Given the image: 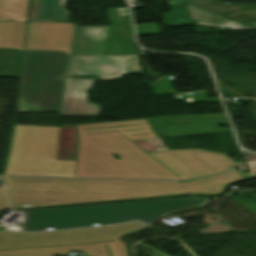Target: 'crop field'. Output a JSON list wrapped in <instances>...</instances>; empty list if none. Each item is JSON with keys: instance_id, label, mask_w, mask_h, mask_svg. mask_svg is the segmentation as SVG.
Listing matches in <instances>:
<instances>
[{"instance_id": "1", "label": "crop field", "mask_w": 256, "mask_h": 256, "mask_svg": "<svg viewBox=\"0 0 256 256\" xmlns=\"http://www.w3.org/2000/svg\"><path fill=\"white\" fill-rule=\"evenodd\" d=\"M243 179L231 172L190 183L13 177L5 178L4 182L13 207L23 208L24 204L35 207L179 194H218L229 182Z\"/></svg>"}, {"instance_id": "2", "label": "crop field", "mask_w": 256, "mask_h": 256, "mask_svg": "<svg viewBox=\"0 0 256 256\" xmlns=\"http://www.w3.org/2000/svg\"><path fill=\"white\" fill-rule=\"evenodd\" d=\"M209 198L184 197L135 202L71 206L41 210H27L20 226L22 231H44L119 223L131 220L149 225L171 212L202 208Z\"/></svg>"}, {"instance_id": "3", "label": "crop field", "mask_w": 256, "mask_h": 256, "mask_svg": "<svg viewBox=\"0 0 256 256\" xmlns=\"http://www.w3.org/2000/svg\"><path fill=\"white\" fill-rule=\"evenodd\" d=\"M76 177L181 180L119 132L79 136Z\"/></svg>"}, {"instance_id": "4", "label": "crop field", "mask_w": 256, "mask_h": 256, "mask_svg": "<svg viewBox=\"0 0 256 256\" xmlns=\"http://www.w3.org/2000/svg\"><path fill=\"white\" fill-rule=\"evenodd\" d=\"M68 54L24 51L16 112H58Z\"/></svg>"}, {"instance_id": "5", "label": "crop field", "mask_w": 256, "mask_h": 256, "mask_svg": "<svg viewBox=\"0 0 256 256\" xmlns=\"http://www.w3.org/2000/svg\"><path fill=\"white\" fill-rule=\"evenodd\" d=\"M145 228L139 222L101 227L78 228L49 233H0V250L115 241L129 232Z\"/></svg>"}, {"instance_id": "6", "label": "crop field", "mask_w": 256, "mask_h": 256, "mask_svg": "<svg viewBox=\"0 0 256 256\" xmlns=\"http://www.w3.org/2000/svg\"><path fill=\"white\" fill-rule=\"evenodd\" d=\"M190 124L194 127L188 128L187 125H173L165 127L150 128L146 119L108 122L100 124H81L77 125L79 135L119 131L130 140L157 138L154 133H164L167 137L227 132L231 129H221L218 121L228 119L225 113L204 114L187 116Z\"/></svg>"}, {"instance_id": "7", "label": "crop field", "mask_w": 256, "mask_h": 256, "mask_svg": "<svg viewBox=\"0 0 256 256\" xmlns=\"http://www.w3.org/2000/svg\"><path fill=\"white\" fill-rule=\"evenodd\" d=\"M148 154L183 180L228 171L237 164L225 154L198 149L155 151Z\"/></svg>"}, {"instance_id": "8", "label": "crop field", "mask_w": 256, "mask_h": 256, "mask_svg": "<svg viewBox=\"0 0 256 256\" xmlns=\"http://www.w3.org/2000/svg\"><path fill=\"white\" fill-rule=\"evenodd\" d=\"M59 129L15 125L8 158L57 159Z\"/></svg>"}, {"instance_id": "9", "label": "crop field", "mask_w": 256, "mask_h": 256, "mask_svg": "<svg viewBox=\"0 0 256 256\" xmlns=\"http://www.w3.org/2000/svg\"><path fill=\"white\" fill-rule=\"evenodd\" d=\"M74 68H71V67ZM141 73L137 56L88 57L71 56L67 75H100V80L121 78L120 75Z\"/></svg>"}, {"instance_id": "10", "label": "crop field", "mask_w": 256, "mask_h": 256, "mask_svg": "<svg viewBox=\"0 0 256 256\" xmlns=\"http://www.w3.org/2000/svg\"><path fill=\"white\" fill-rule=\"evenodd\" d=\"M75 25L28 23L25 49L70 51Z\"/></svg>"}, {"instance_id": "11", "label": "crop field", "mask_w": 256, "mask_h": 256, "mask_svg": "<svg viewBox=\"0 0 256 256\" xmlns=\"http://www.w3.org/2000/svg\"><path fill=\"white\" fill-rule=\"evenodd\" d=\"M76 161L8 159L3 175L75 177Z\"/></svg>"}, {"instance_id": "12", "label": "crop field", "mask_w": 256, "mask_h": 256, "mask_svg": "<svg viewBox=\"0 0 256 256\" xmlns=\"http://www.w3.org/2000/svg\"><path fill=\"white\" fill-rule=\"evenodd\" d=\"M104 244L107 245L111 256H128L124 243L120 241L0 251V256H52V253L64 254L74 250L86 252L88 256H109Z\"/></svg>"}, {"instance_id": "13", "label": "crop field", "mask_w": 256, "mask_h": 256, "mask_svg": "<svg viewBox=\"0 0 256 256\" xmlns=\"http://www.w3.org/2000/svg\"><path fill=\"white\" fill-rule=\"evenodd\" d=\"M93 81L67 77L59 116H98L100 107L86 101Z\"/></svg>"}, {"instance_id": "14", "label": "crop field", "mask_w": 256, "mask_h": 256, "mask_svg": "<svg viewBox=\"0 0 256 256\" xmlns=\"http://www.w3.org/2000/svg\"><path fill=\"white\" fill-rule=\"evenodd\" d=\"M107 27H77L71 54L102 55Z\"/></svg>"}, {"instance_id": "15", "label": "crop field", "mask_w": 256, "mask_h": 256, "mask_svg": "<svg viewBox=\"0 0 256 256\" xmlns=\"http://www.w3.org/2000/svg\"><path fill=\"white\" fill-rule=\"evenodd\" d=\"M189 3L216 13L223 14L239 22H244L250 25L249 27L256 28V5H228L216 2L214 0H194L189 1Z\"/></svg>"}, {"instance_id": "16", "label": "crop field", "mask_w": 256, "mask_h": 256, "mask_svg": "<svg viewBox=\"0 0 256 256\" xmlns=\"http://www.w3.org/2000/svg\"><path fill=\"white\" fill-rule=\"evenodd\" d=\"M66 0H31L28 22H68Z\"/></svg>"}, {"instance_id": "17", "label": "crop field", "mask_w": 256, "mask_h": 256, "mask_svg": "<svg viewBox=\"0 0 256 256\" xmlns=\"http://www.w3.org/2000/svg\"><path fill=\"white\" fill-rule=\"evenodd\" d=\"M26 23L0 22V48L24 49Z\"/></svg>"}, {"instance_id": "18", "label": "crop field", "mask_w": 256, "mask_h": 256, "mask_svg": "<svg viewBox=\"0 0 256 256\" xmlns=\"http://www.w3.org/2000/svg\"><path fill=\"white\" fill-rule=\"evenodd\" d=\"M29 0H0V21L26 22Z\"/></svg>"}, {"instance_id": "19", "label": "crop field", "mask_w": 256, "mask_h": 256, "mask_svg": "<svg viewBox=\"0 0 256 256\" xmlns=\"http://www.w3.org/2000/svg\"><path fill=\"white\" fill-rule=\"evenodd\" d=\"M77 140L76 126L61 128L58 159L76 160Z\"/></svg>"}, {"instance_id": "20", "label": "crop field", "mask_w": 256, "mask_h": 256, "mask_svg": "<svg viewBox=\"0 0 256 256\" xmlns=\"http://www.w3.org/2000/svg\"><path fill=\"white\" fill-rule=\"evenodd\" d=\"M187 8L192 20H199V21H206V22H218V23H230V24H237L235 22L229 21L227 19L221 18L214 14L208 13L196 7L190 6L187 4ZM247 29H252L249 27L244 26Z\"/></svg>"}, {"instance_id": "21", "label": "crop field", "mask_w": 256, "mask_h": 256, "mask_svg": "<svg viewBox=\"0 0 256 256\" xmlns=\"http://www.w3.org/2000/svg\"><path fill=\"white\" fill-rule=\"evenodd\" d=\"M138 147H140L145 152L155 151V150H167L164 145L159 141V139H150V140H137L132 141Z\"/></svg>"}, {"instance_id": "22", "label": "crop field", "mask_w": 256, "mask_h": 256, "mask_svg": "<svg viewBox=\"0 0 256 256\" xmlns=\"http://www.w3.org/2000/svg\"><path fill=\"white\" fill-rule=\"evenodd\" d=\"M10 207L9 203L7 201L6 195L4 193L3 188L0 189V211H2L4 208Z\"/></svg>"}, {"instance_id": "23", "label": "crop field", "mask_w": 256, "mask_h": 256, "mask_svg": "<svg viewBox=\"0 0 256 256\" xmlns=\"http://www.w3.org/2000/svg\"><path fill=\"white\" fill-rule=\"evenodd\" d=\"M197 24H202V25H214V26H226V27H232L235 30H245L242 28L240 25H222V24H214V23H202V22H197Z\"/></svg>"}, {"instance_id": "24", "label": "crop field", "mask_w": 256, "mask_h": 256, "mask_svg": "<svg viewBox=\"0 0 256 256\" xmlns=\"http://www.w3.org/2000/svg\"><path fill=\"white\" fill-rule=\"evenodd\" d=\"M249 168V171L251 173V176H255L256 175V161L253 162H246Z\"/></svg>"}, {"instance_id": "25", "label": "crop field", "mask_w": 256, "mask_h": 256, "mask_svg": "<svg viewBox=\"0 0 256 256\" xmlns=\"http://www.w3.org/2000/svg\"><path fill=\"white\" fill-rule=\"evenodd\" d=\"M184 1H189V0H170V4L184 2Z\"/></svg>"}]
</instances>
